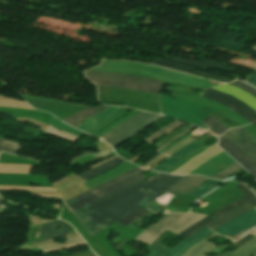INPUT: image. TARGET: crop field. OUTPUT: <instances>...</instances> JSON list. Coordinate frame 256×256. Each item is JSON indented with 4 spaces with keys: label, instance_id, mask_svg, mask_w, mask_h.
<instances>
[{
    "label": "crop field",
    "instance_id": "35",
    "mask_svg": "<svg viewBox=\"0 0 256 256\" xmlns=\"http://www.w3.org/2000/svg\"><path fill=\"white\" fill-rule=\"evenodd\" d=\"M254 125V124H253ZM255 126V125H254ZM256 127V126H255Z\"/></svg>",
    "mask_w": 256,
    "mask_h": 256
},
{
    "label": "crop field",
    "instance_id": "32",
    "mask_svg": "<svg viewBox=\"0 0 256 256\" xmlns=\"http://www.w3.org/2000/svg\"><path fill=\"white\" fill-rule=\"evenodd\" d=\"M193 127H191L187 132H189ZM187 132L181 134L180 136L174 138L173 140H171L170 142L166 143L165 145H163L162 147H160L158 150H156L157 152L160 151L161 149H163L164 147L168 146L169 144H171L174 140L178 139L179 137L185 135Z\"/></svg>",
    "mask_w": 256,
    "mask_h": 256
},
{
    "label": "crop field",
    "instance_id": "17",
    "mask_svg": "<svg viewBox=\"0 0 256 256\" xmlns=\"http://www.w3.org/2000/svg\"><path fill=\"white\" fill-rule=\"evenodd\" d=\"M107 107L108 106H100L98 108H95V107L89 106L62 121L76 127L79 124H81L82 121L94 116L95 114L99 113L100 111H102Z\"/></svg>",
    "mask_w": 256,
    "mask_h": 256
},
{
    "label": "crop field",
    "instance_id": "34",
    "mask_svg": "<svg viewBox=\"0 0 256 256\" xmlns=\"http://www.w3.org/2000/svg\"><path fill=\"white\" fill-rule=\"evenodd\" d=\"M253 48H255V49H256V46H254Z\"/></svg>",
    "mask_w": 256,
    "mask_h": 256
},
{
    "label": "crop field",
    "instance_id": "25",
    "mask_svg": "<svg viewBox=\"0 0 256 256\" xmlns=\"http://www.w3.org/2000/svg\"><path fill=\"white\" fill-rule=\"evenodd\" d=\"M148 212H149V211H147V210L141 208V209H139V210H137V211H135V212H133V213H131V214H129V215L123 217V218H121L118 222H120V223H122V224H124V225L127 226V225H129L131 222H133L134 220H136L138 217H140V216H142V215H144V214H146V213H148Z\"/></svg>",
    "mask_w": 256,
    "mask_h": 256
},
{
    "label": "crop field",
    "instance_id": "26",
    "mask_svg": "<svg viewBox=\"0 0 256 256\" xmlns=\"http://www.w3.org/2000/svg\"><path fill=\"white\" fill-rule=\"evenodd\" d=\"M202 122L206 123L210 127L214 128L218 133H223L224 131L228 130L225 126H223L219 121L215 120L212 117H207Z\"/></svg>",
    "mask_w": 256,
    "mask_h": 256
},
{
    "label": "crop field",
    "instance_id": "22",
    "mask_svg": "<svg viewBox=\"0 0 256 256\" xmlns=\"http://www.w3.org/2000/svg\"><path fill=\"white\" fill-rule=\"evenodd\" d=\"M222 181H214V180H210L208 179L203 186L199 187L198 189L192 191L191 195H195L198 198L203 196L204 194L212 191L218 184H220Z\"/></svg>",
    "mask_w": 256,
    "mask_h": 256
},
{
    "label": "crop field",
    "instance_id": "5",
    "mask_svg": "<svg viewBox=\"0 0 256 256\" xmlns=\"http://www.w3.org/2000/svg\"><path fill=\"white\" fill-rule=\"evenodd\" d=\"M205 216L197 214H181V213H171L166 217L152 225L146 231H144L136 239L151 244L156 238H158L166 229H169L175 233L182 231L188 226L192 225L196 221L200 220ZM143 242V243H144Z\"/></svg>",
    "mask_w": 256,
    "mask_h": 256
},
{
    "label": "crop field",
    "instance_id": "12",
    "mask_svg": "<svg viewBox=\"0 0 256 256\" xmlns=\"http://www.w3.org/2000/svg\"><path fill=\"white\" fill-rule=\"evenodd\" d=\"M218 145L231 155L238 163H240L248 171L256 175V163L241 149L234 145L224 135L219 137Z\"/></svg>",
    "mask_w": 256,
    "mask_h": 256
},
{
    "label": "crop field",
    "instance_id": "21",
    "mask_svg": "<svg viewBox=\"0 0 256 256\" xmlns=\"http://www.w3.org/2000/svg\"><path fill=\"white\" fill-rule=\"evenodd\" d=\"M81 244H84V241L81 239V237H79V238L67 240L64 244L56 243V244L43 246V247H39V248L42 249L44 253H48V252H53L58 249H66V248L78 246Z\"/></svg>",
    "mask_w": 256,
    "mask_h": 256
},
{
    "label": "crop field",
    "instance_id": "28",
    "mask_svg": "<svg viewBox=\"0 0 256 256\" xmlns=\"http://www.w3.org/2000/svg\"><path fill=\"white\" fill-rule=\"evenodd\" d=\"M46 132L50 133V134H53V135H56V136H59V137H62V138H65V139H68V140H71V141H74V142H77L79 137H76L74 135H71V134H68L66 132H61L53 127H49Z\"/></svg>",
    "mask_w": 256,
    "mask_h": 256
},
{
    "label": "crop field",
    "instance_id": "10",
    "mask_svg": "<svg viewBox=\"0 0 256 256\" xmlns=\"http://www.w3.org/2000/svg\"><path fill=\"white\" fill-rule=\"evenodd\" d=\"M208 228H203L190 237L186 238L176 249L173 251L158 245L149 256H182L191 246L204 239L207 235L212 234Z\"/></svg>",
    "mask_w": 256,
    "mask_h": 256
},
{
    "label": "crop field",
    "instance_id": "37",
    "mask_svg": "<svg viewBox=\"0 0 256 256\" xmlns=\"http://www.w3.org/2000/svg\"><path fill=\"white\" fill-rule=\"evenodd\" d=\"M256 228V227H255Z\"/></svg>",
    "mask_w": 256,
    "mask_h": 256
},
{
    "label": "crop field",
    "instance_id": "14",
    "mask_svg": "<svg viewBox=\"0 0 256 256\" xmlns=\"http://www.w3.org/2000/svg\"><path fill=\"white\" fill-rule=\"evenodd\" d=\"M206 179L207 178H204L201 176H185L184 178H182L180 181H178L176 184H174L172 187H170L166 191L173 192V193L187 194L191 190H193L195 187L200 185L202 182H204Z\"/></svg>",
    "mask_w": 256,
    "mask_h": 256
},
{
    "label": "crop field",
    "instance_id": "7",
    "mask_svg": "<svg viewBox=\"0 0 256 256\" xmlns=\"http://www.w3.org/2000/svg\"><path fill=\"white\" fill-rule=\"evenodd\" d=\"M236 188L241 191L245 196L217 210L208 217L179 233V235L186 238L191 234L195 233L196 231L200 230L201 228L205 227L207 224L213 222L214 220L218 219L219 217L225 215L226 213L232 211L233 209L239 207L246 202L250 205H256V195L248 187L240 183Z\"/></svg>",
    "mask_w": 256,
    "mask_h": 256
},
{
    "label": "crop field",
    "instance_id": "8",
    "mask_svg": "<svg viewBox=\"0 0 256 256\" xmlns=\"http://www.w3.org/2000/svg\"><path fill=\"white\" fill-rule=\"evenodd\" d=\"M203 97L223 104L250 122H256V111L231 95L209 88L205 90Z\"/></svg>",
    "mask_w": 256,
    "mask_h": 256
},
{
    "label": "crop field",
    "instance_id": "3",
    "mask_svg": "<svg viewBox=\"0 0 256 256\" xmlns=\"http://www.w3.org/2000/svg\"><path fill=\"white\" fill-rule=\"evenodd\" d=\"M142 172H144V170L137 167L123 175H120V176H118L108 182H105L91 190H88L79 196L74 197V199L77 202L73 198H71L65 202L67 203L68 206L70 204L76 202V203L70 205L71 208L73 209V211H75L84 205H87L103 196H106L124 186H127V185L143 178L144 176H143Z\"/></svg>",
    "mask_w": 256,
    "mask_h": 256
},
{
    "label": "crop field",
    "instance_id": "23",
    "mask_svg": "<svg viewBox=\"0 0 256 256\" xmlns=\"http://www.w3.org/2000/svg\"><path fill=\"white\" fill-rule=\"evenodd\" d=\"M182 124H184V123H181V122L176 121V122H174V123H172V124H170V125L164 127L163 129H161V130L158 131L157 133H155V134H153V135L147 137L145 140L150 143V142H152L153 140H155L156 138H158V137H160V136H162V135H164V134H167V133H169V132H171V131H173V130L179 128V126L182 125Z\"/></svg>",
    "mask_w": 256,
    "mask_h": 256
},
{
    "label": "crop field",
    "instance_id": "16",
    "mask_svg": "<svg viewBox=\"0 0 256 256\" xmlns=\"http://www.w3.org/2000/svg\"><path fill=\"white\" fill-rule=\"evenodd\" d=\"M201 143L200 141L196 140L192 143H190L189 145L185 146L184 148H182L181 150H179L178 152H176L175 154H173L171 157H169L168 159H166L165 161H163L161 164H159L156 168H154L153 170L155 171H165L167 168H169L171 165H173L174 163H176L179 159H181L183 156H185L187 153H189L190 151H192L193 149L197 148L198 146H200Z\"/></svg>",
    "mask_w": 256,
    "mask_h": 256
},
{
    "label": "crop field",
    "instance_id": "18",
    "mask_svg": "<svg viewBox=\"0 0 256 256\" xmlns=\"http://www.w3.org/2000/svg\"><path fill=\"white\" fill-rule=\"evenodd\" d=\"M215 235L217 234L214 233L207 237L205 240L191 247L183 256H203L212 249L216 248L215 245L207 241L208 239L212 238Z\"/></svg>",
    "mask_w": 256,
    "mask_h": 256
},
{
    "label": "crop field",
    "instance_id": "13",
    "mask_svg": "<svg viewBox=\"0 0 256 256\" xmlns=\"http://www.w3.org/2000/svg\"><path fill=\"white\" fill-rule=\"evenodd\" d=\"M232 130L242 137L248 144L246 145L236 134L232 132ZM225 135L256 162V141L244 130L243 127L231 129L227 131Z\"/></svg>",
    "mask_w": 256,
    "mask_h": 256
},
{
    "label": "crop field",
    "instance_id": "11",
    "mask_svg": "<svg viewBox=\"0 0 256 256\" xmlns=\"http://www.w3.org/2000/svg\"><path fill=\"white\" fill-rule=\"evenodd\" d=\"M59 226H61L62 229L56 231L55 228ZM71 233H75V230L70 225L61 220L41 224L38 234L35 237L33 243L45 241L48 239L60 237Z\"/></svg>",
    "mask_w": 256,
    "mask_h": 256
},
{
    "label": "crop field",
    "instance_id": "38",
    "mask_svg": "<svg viewBox=\"0 0 256 256\" xmlns=\"http://www.w3.org/2000/svg\"><path fill=\"white\" fill-rule=\"evenodd\" d=\"M1 208V207H0Z\"/></svg>",
    "mask_w": 256,
    "mask_h": 256
},
{
    "label": "crop field",
    "instance_id": "20",
    "mask_svg": "<svg viewBox=\"0 0 256 256\" xmlns=\"http://www.w3.org/2000/svg\"><path fill=\"white\" fill-rule=\"evenodd\" d=\"M256 250V236L235 250L233 253L224 251L217 256H249Z\"/></svg>",
    "mask_w": 256,
    "mask_h": 256
},
{
    "label": "crop field",
    "instance_id": "19",
    "mask_svg": "<svg viewBox=\"0 0 256 256\" xmlns=\"http://www.w3.org/2000/svg\"><path fill=\"white\" fill-rule=\"evenodd\" d=\"M123 161L124 160H122L121 158L117 157L115 159H112V160H110L108 162H105V163L97 166L96 168H94V169H92V170H90V171L80 175V177H82L83 179L87 180L89 178H92V177H94L96 175H99V174H101V173L111 169L112 167H114L115 165H117V164H119V163H121Z\"/></svg>",
    "mask_w": 256,
    "mask_h": 256
},
{
    "label": "crop field",
    "instance_id": "29",
    "mask_svg": "<svg viewBox=\"0 0 256 256\" xmlns=\"http://www.w3.org/2000/svg\"><path fill=\"white\" fill-rule=\"evenodd\" d=\"M228 84L236 86L256 98V89L253 88L252 86H250L244 82H241L239 80H236L235 82L228 83Z\"/></svg>",
    "mask_w": 256,
    "mask_h": 256
},
{
    "label": "crop field",
    "instance_id": "24",
    "mask_svg": "<svg viewBox=\"0 0 256 256\" xmlns=\"http://www.w3.org/2000/svg\"><path fill=\"white\" fill-rule=\"evenodd\" d=\"M243 169L241 166H239L236 162L233 163L232 165L228 166L224 170L220 171L216 175L212 176L211 178L215 179H225L228 176L238 172L239 170Z\"/></svg>",
    "mask_w": 256,
    "mask_h": 256
},
{
    "label": "crop field",
    "instance_id": "4",
    "mask_svg": "<svg viewBox=\"0 0 256 256\" xmlns=\"http://www.w3.org/2000/svg\"><path fill=\"white\" fill-rule=\"evenodd\" d=\"M252 209L248 204L226 214L222 218L218 219L214 223L210 224L209 227L211 230H216L217 228L221 227L225 223L229 222L233 218L241 215L242 213ZM256 226V212L252 209L243 215L233 219L229 223L225 224L221 228L217 229L216 232L217 234L220 235H225L228 237H233L234 235L238 234L242 230L250 229L252 227Z\"/></svg>",
    "mask_w": 256,
    "mask_h": 256
},
{
    "label": "crop field",
    "instance_id": "31",
    "mask_svg": "<svg viewBox=\"0 0 256 256\" xmlns=\"http://www.w3.org/2000/svg\"><path fill=\"white\" fill-rule=\"evenodd\" d=\"M248 83L256 87V72L250 75Z\"/></svg>",
    "mask_w": 256,
    "mask_h": 256
},
{
    "label": "crop field",
    "instance_id": "36",
    "mask_svg": "<svg viewBox=\"0 0 256 256\" xmlns=\"http://www.w3.org/2000/svg\"><path fill=\"white\" fill-rule=\"evenodd\" d=\"M255 192H256V190H255Z\"/></svg>",
    "mask_w": 256,
    "mask_h": 256
},
{
    "label": "crop field",
    "instance_id": "2",
    "mask_svg": "<svg viewBox=\"0 0 256 256\" xmlns=\"http://www.w3.org/2000/svg\"><path fill=\"white\" fill-rule=\"evenodd\" d=\"M86 76L98 85L122 87L133 90L158 94L163 83L162 81L152 80L140 76L103 73V72H85Z\"/></svg>",
    "mask_w": 256,
    "mask_h": 256
},
{
    "label": "crop field",
    "instance_id": "30",
    "mask_svg": "<svg viewBox=\"0 0 256 256\" xmlns=\"http://www.w3.org/2000/svg\"><path fill=\"white\" fill-rule=\"evenodd\" d=\"M253 236L248 234L245 237L241 238L240 240H238L237 242H235L234 244H232L235 247H240L242 244H244L246 241H248L249 239H251Z\"/></svg>",
    "mask_w": 256,
    "mask_h": 256
},
{
    "label": "crop field",
    "instance_id": "27",
    "mask_svg": "<svg viewBox=\"0 0 256 256\" xmlns=\"http://www.w3.org/2000/svg\"><path fill=\"white\" fill-rule=\"evenodd\" d=\"M18 148L19 144L0 139V150L15 154Z\"/></svg>",
    "mask_w": 256,
    "mask_h": 256
},
{
    "label": "crop field",
    "instance_id": "1",
    "mask_svg": "<svg viewBox=\"0 0 256 256\" xmlns=\"http://www.w3.org/2000/svg\"><path fill=\"white\" fill-rule=\"evenodd\" d=\"M182 177L160 173L147 183L143 178L82 209L101 231L124 215L167 194L164 191Z\"/></svg>",
    "mask_w": 256,
    "mask_h": 256
},
{
    "label": "crop field",
    "instance_id": "33",
    "mask_svg": "<svg viewBox=\"0 0 256 256\" xmlns=\"http://www.w3.org/2000/svg\"><path fill=\"white\" fill-rule=\"evenodd\" d=\"M3 202H4V200H2V199L0 198V206H3V205H4Z\"/></svg>",
    "mask_w": 256,
    "mask_h": 256
},
{
    "label": "crop field",
    "instance_id": "15",
    "mask_svg": "<svg viewBox=\"0 0 256 256\" xmlns=\"http://www.w3.org/2000/svg\"><path fill=\"white\" fill-rule=\"evenodd\" d=\"M125 107H114L110 106L104 111L100 112L96 116L92 117L91 119L87 120L84 122L82 125L78 126L77 128L83 130V131H88L94 126L98 125L99 123L103 122L104 120L108 119L109 117L113 116L114 114L118 113Z\"/></svg>",
    "mask_w": 256,
    "mask_h": 256
},
{
    "label": "crop field",
    "instance_id": "6",
    "mask_svg": "<svg viewBox=\"0 0 256 256\" xmlns=\"http://www.w3.org/2000/svg\"><path fill=\"white\" fill-rule=\"evenodd\" d=\"M162 117L164 116L141 111L99 139L110 143L114 147Z\"/></svg>",
    "mask_w": 256,
    "mask_h": 256
},
{
    "label": "crop field",
    "instance_id": "9",
    "mask_svg": "<svg viewBox=\"0 0 256 256\" xmlns=\"http://www.w3.org/2000/svg\"><path fill=\"white\" fill-rule=\"evenodd\" d=\"M205 63L211 64V65H217V66L224 67V68H227V69H230V70L234 71V68H232V67L225 66L223 64L214 63V62H211V61H206V60H203L200 63H193V62H189V61H185V60H181V59H177V58L167 56L164 60L153 58V60L151 61V64L171 68V69H174V70H178V71H182V72H186V73H190V74H196V75L215 78V79L226 81V82H231L227 79H223V78H219V77H215V76H210V75L194 72L193 67H195V66H199V67H202V68H205V69L220 68V67H216V66L206 65ZM224 68H221V69H224ZM227 69H225V70H227Z\"/></svg>",
    "mask_w": 256,
    "mask_h": 256
}]
</instances>
